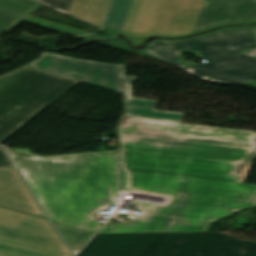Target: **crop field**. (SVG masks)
I'll return each mask as SVG.
<instances>
[{
  "label": "crop field",
  "instance_id": "11",
  "mask_svg": "<svg viewBox=\"0 0 256 256\" xmlns=\"http://www.w3.org/2000/svg\"><path fill=\"white\" fill-rule=\"evenodd\" d=\"M62 236L67 240L74 250L80 249L93 233L53 222Z\"/></svg>",
  "mask_w": 256,
  "mask_h": 256
},
{
  "label": "crop field",
  "instance_id": "2",
  "mask_svg": "<svg viewBox=\"0 0 256 256\" xmlns=\"http://www.w3.org/2000/svg\"><path fill=\"white\" fill-rule=\"evenodd\" d=\"M39 204L51 220L95 233L93 219L118 194L117 151L40 157L9 149Z\"/></svg>",
  "mask_w": 256,
  "mask_h": 256
},
{
  "label": "crop field",
  "instance_id": "1",
  "mask_svg": "<svg viewBox=\"0 0 256 256\" xmlns=\"http://www.w3.org/2000/svg\"><path fill=\"white\" fill-rule=\"evenodd\" d=\"M122 193L141 215L99 233L206 231L256 207V185L235 171L255 149L256 132L124 117L118 126Z\"/></svg>",
  "mask_w": 256,
  "mask_h": 256
},
{
  "label": "crop field",
  "instance_id": "4",
  "mask_svg": "<svg viewBox=\"0 0 256 256\" xmlns=\"http://www.w3.org/2000/svg\"><path fill=\"white\" fill-rule=\"evenodd\" d=\"M77 256H256V243L222 232L97 234Z\"/></svg>",
  "mask_w": 256,
  "mask_h": 256
},
{
  "label": "crop field",
  "instance_id": "5",
  "mask_svg": "<svg viewBox=\"0 0 256 256\" xmlns=\"http://www.w3.org/2000/svg\"><path fill=\"white\" fill-rule=\"evenodd\" d=\"M77 83L27 66L0 76V144Z\"/></svg>",
  "mask_w": 256,
  "mask_h": 256
},
{
  "label": "crop field",
  "instance_id": "8",
  "mask_svg": "<svg viewBox=\"0 0 256 256\" xmlns=\"http://www.w3.org/2000/svg\"><path fill=\"white\" fill-rule=\"evenodd\" d=\"M0 256H73L49 221L0 207Z\"/></svg>",
  "mask_w": 256,
  "mask_h": 256
},
{
  "label": "crop field",
  "instance_id": "9",
  "mask_svg": "<svg viewBox=\"0 0 256 256\" xmlns=\"http://www.w3.org/2000/svg\"><path fill=\"white\" fill-rule=\"evenodd\" d=\"M0 205L46 218L16 168H0Z\"/></svg>",
  "mask_w": 256,
  "mask_h": 256
},
{
  "label": "crop field",
  "instance_id": "7",
  "mask_svg": "<svg viewBox=\"0 0 256 256\" xmlns=\"http://www.w3.org/2000/svg\"><path fill=\"white\" fill-rule=\"evenodd\" d=\"M75 60L73 62L72 58L44 53L28 66L126 94L125 116L181 122L184 114L155 111L153 106L157 100L133 98L131 82L138 77L125 76V66ZM141 104L145 107H138Z\"/></svg>",
  "mask_w": 256,
  "mask_h": 256
},
{
  "label": "crop field",
  "instance_id": "13",
  "mask_svg": "<svg viewBox=\"0 0 256 256\" xmlns=\"http://www.w3.org/2000/svg\"><path fill=\"white\" fill-rule=\"evenodd\" d=\"M53 10L67 14L72 0H33Z\"/></svg>",
  "mask_w": 256,
  "mask_h": 256
},
{
  "label": "crop field",
  "instance_id": "6",
  "mask_svg": "<svg viewBox=\"0 0 256 256\" xmlns=\"http://www.w3.org/2000/svg\"><path fill=\"white\" fill-rule=\"evenodd\" d=\"M161 2L113 0L103 26L136 35L151 33ZM242 19H256V0H202L191 30Z\"/></svg>",
  "mask_w": 256,
  "mask_h": 256
},
{
  "label": "crop field",
  "instance_id": "3",
  "mask_svg": "<svg viewBox=\"0 0 256 256\" xmlns=\"http://www.w3.org/2000/svg\"><path fill=\"white\" fill-rule=\"evenodd\" d=\"M256 47L254 27L231 28L182 41L155 40L144 51L210 83L227 86L256 80V57L244 53L212 59L202 65H183L180 52L213 58Z\"/></svg>",
  "mask_w": 256,
  "mask_h": 256
},
{
  "label": "crop field",
  "instance_id": "10",
  "mask_svg": "<svg viewBox=\"0 0 256 256\" xmlns=\"http://www.w3.org/2000/svg\"><path fill=\"white\" fill-rule=\"evenodd\" d=\"M40 6L31 0H0V32L15 28Z\"/></svg>",
  "mask_w": 256,
  "mask_h": 256
},
{
  "label": "crop field",
  "instance_id": "12",
  "mask_svg": "<svg viewBox=\"0 0 256 256\" xmlns=\"http://www.w3.org/2000/svg\"><path fill=\"white\" fill-rule=\"evenodd\" d=\"M243 22H256V20H242V21H235V22H223V23L215 24V25H212V26H209V27H205V28H202V29H198V30H195V31H191V32H187V33H182V34H176V35H167V34H162V33H152V34H148V35L136 36V35L128 34V33L124 32V31H110V30H108V29H106L104 27L102 28V30H104L105 32H107L110 35L113 34V33H123L133 43V46H137V45L143 43V39L145 37L151 36V35H164V36L173 37V36H180V35L190 34V33L198 32V31H203L205 29L216 27V26L223 25V24L243 23Z\"/></svg>",
  "mask_w": 256,
  "mask_h": 256
},
{
  "label": "crop field",
  "instance_id": "15",
  "mask_svg": "<svg viewBox=\"0 0 256 256\" xmlns=\"http://www.w3.org/2000/svg\"><path fill=\"white\" fill-rule=\"evenodd\" d=\"M255 29H256V26H255Z\"/></svg>",
  "mask_w": 256,
  "mask_h": 256
},
{
  "label": "crop field",
  "instance_id": "14",
  "mask_svg": "<svg viewBox=\"0 0 256 256\" xmlns=\"http://www.w3.org/2000/svg\"><path fill=\"white\" fill-rule=\"evenodd\" d=\"M0 167H13L10 157L3 147H0Z\"/></svg>",
  "mask_w": 256,
  "mask_h": 256
}]
</instances>
